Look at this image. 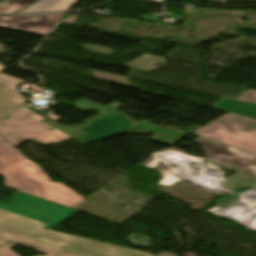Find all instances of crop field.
<instances>
[{"mask_svg": "<svg viewBox=\"0 0 256 256\" xmlns=\"http://www.w3.org/2000/svg\"><path fill=\"white\" fill-rule=\"evenodd\" d=\"M246 185L256 188V164L238 172L220 186L233 190Z\"/></svg>", "mask_w": 256, "mask_h": 256, "instance_id": "crop-field-10", "label": "crop field"}, {"mask_svg": "<svg viewBox=\"0 0 256 256\" xmlns=\"http://www.w3.org/2000/svg\"><path fill=\"white\" fill-rule=\"evenodd\" d=\"M213 108L256 119V104L253 103L222 98Z\"/></svg>", "mask_w": 256, "mask_h": 256, "instance_id": "crop-field-9", "label": "crop field"}, {"mask_svg": "<svg viewBox=\"0 0 256 256\" xmlns=\"http://www.w3.org/2000/svg\"><path fill=\"white\" fill-rule=\"evenodd\" d=\"M76 1L77 0H39L22 12L68 10Z\"/></svg>", "mask_w": 256, "mask_h": 256, "instance_id": "crop-field-11", "label": "crop field"}, {"mask_svg": "<svg viewBox=\"0 0 256 256\" xmlns=\"http://www.w3.org/2000/svg\"><path fill=\"white\" fill-rule=\"evenodd\" d=\"M196 142L201 145L208 160L231 169L239 171L256 163V155L200 137L197 138Z\"/></svg>", "mask_w": 256, "mask_h": 256, "instance_id": "crop-field-6", "label": "crop field"}, {"mask_svg": "<svg viewBox=\"0 0 256 256\" xmlns=\"http://www.w3.org/2000/svg\"><path fill=\"white\" fill-rule=\"evenodd\" d=\"M24 81L0 73V118L27 101L16 90V86Z\"/></svg>", "mask_w": 256, "mask_h": 256, "instance_id": "crop-field-8", "label": "crop field"}, {"mask_svg": "<svg viewBox=\"0 0 256 256\" xmlns=\"http://www.w3.org/2000/svg\"><path fill=\"white\" fill-rule=\"evenodd\" d=\"M130 119L122 114H116L107 118H103L94 122H91V126L82 128L73 132L66 133L69 137L75 139L81 144L85 145L97 140H101L125 131H129L138 127L155 131L156 135L152 137V140L172 146L179 138L186 134L163 130L162 128L138 123L134 126L129 125Z\"/></svg>", "mask_w": 256, "mask_h": 256, "instance_id": "crop-field-4", "label": "crop field"}, {"mask_svg": "<svg viewBox=\"0 0 256 256\" xmlns=\"http://www.w3.org/2000/svg\"><path fill=\"white\" fill-rule=\"evenodd\" d=\"M63 14L0 18V27L45 36Z\"/></svg>", "mask_w": 256, "mask_h": 256, "instance_id": "crop-field-7", "label": "crop field"}, {"mask_svg": "<svg viewBox=\"0 0 256 256\" xmlns=\"http://www.w3.org/2000/svg\"><path fill=\"white\" fill-rule=\"evenodd\" d=\"M238 100H243V101L256 103V91L251 90L248 93L241 96L240 98H238Z\"/></svg>", "mask_w": 256, "mask_h": 256, "instance_id": "crop-field-14", "label": "crop field"}, {"mask_svg": "<svg viewBox=\"0 0 256 256\" xmlns=\"http://www.w3.org/2000/svg\"><path fill=\"white\" fill-rule=\"evenodd\" d=\"M160 256H168V255H166V254H162V255H160Z\"/></svg>", "mask_w": 256, "mask_h": 256, "instance_id": "crop-field-16", "label": "crop field"}, {"mask_svg": "<svg viewBox=\"0 0 256 256\" xmlns=\"http://www.w3.org/2000/svg\"><path fill=\"white\" fill-rule=\"evenodd\" d=\"M36 112L23 107L0 121V135L13 146L25 140H31L43 145L63 142L70 139L63 132L48 125L49 121H38L30 116Z\"/></svg>", "mask_w": 256, "mask_h": 256, "instance_id": "crop-field-3", "label": "crop field"}, {"mask_svg": "<svg viewBox=\"0 0 256 256\" xmlns=\"http://www.w3.org/2000/svg\"><path fill=\"white\" fill-rule=\"evenodd\" d=\"M0 67H2V65H0Z\"/></svg>", "mask_w": 256, "mask_h": 256, "instance_id": "crop-field-17", "label": "crop field"}, {"mask_svg": "<svg viewBox=\"0 0 256 256\" xmlns=\"http://www.w3.org/2000/svg\"><path fill=\"white\" fill-rule=\"evenodd\" d=\"M6 243H10V242H7V241H4V240L0 239V245L6 244Z\"/></svg>", "mask_w": 256, "mask_h": 256, "instance_id": "crop-field-15", "label": "crop field"}, {"mask_svg": "<svg viewBox=\"0 0 256 256\" xmlns=\"http://www.w3.org/2000/svg\"><path fill=\"white\" fill-rule=\"evenodd\" d=\"M196 133L198 136L256 153V120L227 113Z\"/></svg>", "mask_w": 256, "mask_h": 256, "instance_id": "crop-field-5", "label": "crop field"}, {"mask_svg": "<svg viewBox=\"0 0 256 256\" xmlns=\"http://www.w3.org/2000/svg\"><path fill=\"white\" fill-rule=\"evenodd\" d=\"M16 246L15 243L12 244H8L5 246H1L0 247V256H18L17 254H15L14 252H12L11 250H9L8 248ZM41 256V255H38Z\"/></svg>", "mask_w": 256, "mask_h": 256, "instance_id": "crop-field-13", "label": "crop field"}, {"mask_svg": "<svg viewBox=\"0 0 256 256\" xmlns=\"http://www.w3.org/2000/svg\"><path fill=\"white\" fill-rule=\"evenodd\" d=\"M37 0H9L0 5V14L14 13L21 10Z\"/></svg>", "mask_w": 256, "mask_h": 256, "instance_id": "crop-field-12", "label": "crop field"}, {"mask_svg": "<svg viewBox=\"0 0 256 256\" xmlns=\"http://www.w3.org/2000/svg\"><path fill=\"white\" fill-rule=\"evenodd\" d=\"M76 211L17 191L0 204V238L44 256H154L144 252L51 231Z\"/></svg>", "mask_w": 256, "mask_h": 256, "instance_id": "crop-field-1", "label": "crop field"}, {"mask_svg": "<svg viewBox=\"0 0 256 256\" xmlns=\"http://www.w3.org/2000/svg\"><path fill=\"white\" fill-rule=\"evenodd\" d=\"M0 174L5 178L6 187L69 208L85 199L62 184L52 183L39 166L28 160L1 136Z\"/></svg>", "mask_w": 256, "mask_h": 256, "instance_id": "crop-field-2", "label": "crop field"}]
</instances>
